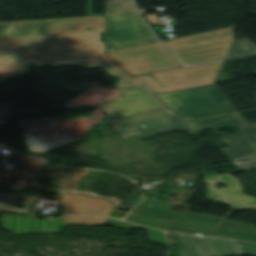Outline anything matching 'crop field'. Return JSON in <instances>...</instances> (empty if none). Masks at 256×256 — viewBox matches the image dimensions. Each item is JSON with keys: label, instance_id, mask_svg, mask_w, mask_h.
Here are the masks:
<instances>
[{"label": "crop field", "instance_id": "obj_2", "mask_svg": "<svg viewBox=\"0 0 256 256\" xmlns=\"http://www.w3.org/2000/svg\"><path fill=\"white\" fill-rule=\"evenodd\" d=\"M107 52L156 42L131 0L106 1Z\"/></svg>", "mask_w": 256, "mask_h": 256}, {"label": "crop field", "instance_id": "obj_9", "mask_svg": "<svg viewBox=\"0 0 256 256\" xmlns=\"http://www.w3.org/2000/svg\"><path fill=\"white\" fill-rule=\"evenodd\" d=\"M208 182V199L230 203L236 210L256 209V198L244 196L238 179L229 174L203 177ZM216 182L225 184L227 189H217Z\"/></svg>", "mask_w": 256, "mask_h": 256}, {"label": "crop field", "instance_id": "obj_22", "mask_svg": "<svg viewBox=\"0 0 256 256\" xmlns=\"http://www.w3.org/2000/svg\"><path fill=\"white\" fill-rule=\"evenodd\" d=\"M125 221H129V222H133V223H137V224H141V225H146V226H150V227H154V228H158V229H162V230H166L168 228V226L148 222V221L137 219V218L130 217V216H128L125 219Z\"/></svg>", "mask_w": 256, "mask_h": 256}, {"label": "crop field", "instance_id": "obj_24", "mask_svg": "<svg viewBox=\"0 0 256 256\" xmlns=\"http://www.w3.org/2000/svg\"><path fill=\"white\" fill-rule=\"evenodd\" d=\"M240 127L244 133L256 131V123L245 124Z\"/></svg>", "mask_w": 256, "mask_h": 256}, {"label": "crop field", "instance_id": "obj_26", "mask_svg": "<svg viewBox=\"0 0 256 256\" xmlns=\"http://www.w3.org/2000/svg\"><path fill=\"white\" fill-rule=\"evenodd\" d=\"M83 198H89V199H97V198H92V197H89V196H85V195H83ZM101 200H107V199H101Z\"/></svg>", "mask_w": 256, "mask_h": 256}, {"label": "crop field", "instance_id": "obj_10", "mask_svg": "<svg viewBox=\"0 0 256 256\" xmlns=\"http://www.w3.org/2000/svg\"><path fill=\"white\" fill-rule=\"evenodd\" d=\"M182 248V256H234L228 239L203 237L196 244L192 236L174 232Z\"/></svg>", "mask_w": 256, "mask_h": 256}, {"label": "crop field", "instance_id": "obj_13", "mask_svg": "<svg viewBox=\"0 0 256 256\" xmlns=\"http://www.w3.org/2000/svg\"><path fill=\"white\" fill-rule=\"evenodd\" d=\"M243 135L246 136L247 140L256 153V132L221 137L220 139L228 142L231 147L221 148L219 150L228 158L252 154V156L235 158L232 160L243 170L256 168V155H253L254 153Z\"/></svg>", "mask_w": 256, "mask_h": 256}, {"label": "crop field", "instance_id": "obj_17", "mask_svg": "<svg viewBox=\"0 0 256 256\" xmlns=\"http://www.w3.org/2000/svg\"><path fill=\"white\" fill-rule=\"evenodd\" d=\"M240 123H245L238 114L204 119L189 122L197 130H207L219 127L232 126Z\"/></svg>", "mask_w": 256, "mask_h": 256}, {"label": "crop field", "instance_id": "obj_5", "mask_svg": "<svg viewBox=\"0 0 256 256\" xmlns=\"http://www.w3.org/2000/svg\"><path fill=\"white\" fill-rule=\"evenodd\" d=\"M221 63L222 61H219L181 69L151 73L157 78L156 80H154L150 74L136 77V79L148 87L154 94L207 85L213 83Z\"/></svg>", "mask_w": 256, "mask_h": 256}, {"label": "crop field", "instance_id": "obj_14", "mask_svg": "<svg viewBox=\"0 0 256 256\" xmlns=\"http://www.w3.org/2000/svg\"><path fill=\"white\" fill-rule=\"evenodd\" d=\"M59 200L63 213L110 217L113 205L110 201L82 199V195L63 193Z\"/></svg>", "mask_w": 256, "mask_h": 256}, {"label": "crop field", "instance_id": "obj_8", "mask_svg": "<svg viewBox=\"0 0 256 256\" xmlns=\"http://www.w3.org/2000/svg\"><path fill=\"white\" fill-rule=\"evenodd\" d=\"M117 91L123 95L101 104L115 119L165 107L145 87H134Z\"/></svg>", "mask_w": 256, "mask_h": 256}, {"label": "crop field", "instance_id": "obj_20", "mask_svg": "<svg viewBox=\"0 0 256 256\" xmlns=\"http://www.w3.org/2000/svg\"><path fill=\"white\" fill-rule=\"evenodd\" d=\"M253 53H256V46L247 39H242L235 41L228 58Z\"/></svg>", "mask_w": 256, "mask_h": 256}, {"label": "crop field", "instance_id": "obj_23", "mask_svg": "<svg viewBox=\"0 0 256 256\" xmlns=\"http://www.w3.org/2000/svg\"><path fill=\"white\" fill-rule=\"evenodd\" d=\"M139 85L141 84L138 83L135 79L129 78L126 80L119 81L118 88L129 87V86H139Z\"/></svg>", "mask_w": 256, "mask_h": 256}, {"label": "crop field", "instance_id": "obj_7", "mask_svg": "<svg viewBox=\"0 0 256 256\" xmlns=\"http://www.w3.org/2000/svg\"><path fill=\"white\" fill-rule=\"evenodd\" d=\"M107 55L132 75L182 66L161 42Z\"/></svg>", "mask_w": 256, "mask_h": 256}, {"label": "crop field", "instance_id": "obj_11", "mask_svg": "<svg viewBox=\"0 0 256 256\" xmlns=\"http://www.w3.org/2000/svg\"><path fill=\"white\" fill-rule=\"evenodd\" d=\"M0 227L13 233L14 235L42 233L56 234L61 233L64 223L63 217L57 220L42 221L38 219L2 214Z\"/></svg>", "mask_w": 256, "mask_h": 256}, {"label": "crop field", "instance_id": "obj_16", "mask_svg": "<svg viewBox=\"0 0 256 256\" xmlns=\"http://www.w3.org/2000/svg\"><path fill=\"white\" fill-rule=\"evenodd\" d=\"M253 231H250V230ZM210 234L256 241V228L249 224L225 220Z\"/></svg>", "mask_w": 256, "mask_h": 256}, {"label": "crop field", "instance_id": "obj_21", "mask_svg": "<svg viewBox=\"0 0 256 256\" xmlns=\"http://www.w3.org/2000/svg\"><path fill=\"white\" fill-rule=\"evenodd\" d=\"M237 255L256 256V244L232 241Z\"/></svg>", "mask_w": 256, "mask_h": 256}, {"label": "crop field", "instance_id": "obj_18", "mask_svg": "<svg viewBox=\"0 0 256 256\" xmlns=\"http://www.w3.org/2000/svg\"><path fill=\"white\" fill-rule=\"evenodd\" d=\"M15 196L18 195H0V211L32 216L28 213V211L34 205L38 198L26 196L23 201V209H19L17 206H15Z\"/></svg>", "mask_w": 256, "mask_h": 256}, {"label": "crop field", "instance_id": "obj_25", "mask_svg": "<svg viewBox=\"0 0 256 256\" xmlns=\"http://www.w3.org/2000/svg\"><path fill=\"white\" fill-rule=\"evenodd\" d=\"M168 230L187 232V233H193V234H199V235H207L208 234V233H203V232L184 230V229H178V228H172V227H169Z\"/></svg>", "mask_w": 256, "mask_h": 256}, {"label": "crop field", "instance_id": "obj_4", "mask_svg": "<svg viewBox=\"0 0 256 256\" xmlns=\"http://www.w3.org/2000/svg\"><path fill=\"white\" fill-rule=\"evenodd\" d=\"M185 120L234 114L214 85L158 95Z\"/></svg>", "mask_w": 256, "mask_h": 256}, {"label": "crop field", "instance_id": "obj_1", "mask_svg": "<svg viewBox=\"0 0 256 256\" xmlns=\"http://www.w3.org/2000/svg\"><path fill=\"white\" fill-rule=\"evenodd\" d=\"M13 22L0 32V80L30 75L29 65L101 67L110 76L129 77L103 52L99 41L104 17H78ZM21 24L19 28H11ZM44 27V33L37 32ZM85 27H91L87 31ZM20 46L25 49L19 50ZM5 76V78H3Z\"/></svg>", "mask_w": 256, "mask_h": 256}, {"label": "crop field", "instance_id": "obj_19", "mask_svg": "<svg viewBox=\"0 0 256 256\" xmlns=\"http://www.w3.org/2000/svg\"><path fill=\"white\" fill-rule=\"evenodd\" d=\"M106 221H107V218L64 216V222L66 225H70V224L84 225V226L104 225Z\"/></svg>", "mask_w": 256, "mask_h": 256}, {"label": "crop field", "instance_id": "obj_3", "mask_svg": "<svg viewBox=\"0 0 256 256\" xmlns=\"http://www.w3.org/2000/svg\"><path fill=\"white\" fill-rule=\"evenodd\" d=\"M235 27L165 41L184 64L227 57L234 41Z\"/></svg>", "mask_w": 256, "mask_h": 256}, {"label": "crop field", "instance_id": "obj_15", "mask_svg": "<svg viewBox=\"0 0 256 256\" xmlns=\"http://www.w3.org/2000/svg\"><path fill=\"white\" fill-rule=\"evenodd\" d=\"M210 218H212L213 220H210ZM225 219L226 218L224 217L189 212L181 219H179L177 222H175L173 226L211 232L217 226H219Z\"/></svg>", "mask_w": 256, "mask_h": 256}, {"label": "crop field", "instance_id": "obj_12", "mask_svg": "<svg viewBox=\"0 0 256 256\" xmlns=\"http://www.w3.org/2000/svg\"><path fill=\"white\" fill-rule=\"evenodd\" d=\"M165 192L164 189L153 191L148 196L160 197L159 194ZM148 196L146 199L138 205L131 213V216H137L161 223L171 225L176 220L181 218L184 214L176 213L170 211L175 205L156 201L149 199ZM168 196L163 195V199L167 200ZM149 213H155L156 215H151Z\"/></svg>", "mask_w": 256, "mask_h": 256}, {"label": "crop field", "instance_id": "obj_6", "mask_svg": "<svg viewBox=\"0 0 256 256\" xmlns=\"http://www.w3.org/2000/svg\"><path fill=\"white\" fill-rule=\"evenodd\" d=\"M109 122L124 138H147L156 132L165 130H187L191 133L196 132L167 107ZM141 125H145L146 127L142 128Z\"/></svg>", "mask_w": 256, "mask_h": 256}]
</instances>
